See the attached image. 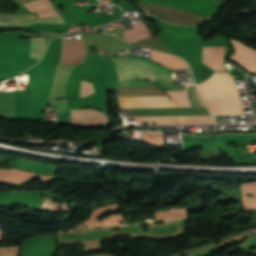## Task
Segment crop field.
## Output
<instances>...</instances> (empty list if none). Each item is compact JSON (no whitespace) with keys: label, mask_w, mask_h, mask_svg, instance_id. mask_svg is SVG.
<instances>
[{"label":"crop field","mask_w":256,"mask_h":256,"mask_svg":"<svg viewBox=\"0 0 256 256\" xmlns=\"http://www.w3.org/2000/svg\"><path fill=\"white\" fill-rule=\"evenodd\" d=\"M93 91L94 90L90 84L81 81L80 97H84ZM83 106H91L109 112L107 108V92H94L86 96Z\"/></svg>","instance_id":"obj_6"},{"label":"crop field","mask_w":256,"mask_h":256,"mask_svg":"<svg viewBox=\"0 0 256 256\" xmlns=\"http://www.w3.org/2000/svg\"><path fill=\"white\" fill-rule=\"evenodd\" d=\"M30 11H37L40 17L59 15L48 0H35L24 4ZM34 22H63L59 16L33 19L32 15H0V24L19 25Z\"/></svg>","instance_id":"obj_4"},{"label":"crop field","mask_w":256,"mask_h":256,"mask_svg":"<svg viewBox=\"0 0 256 256\" xmlns=\"http://www.w3.org/2000/svg\"><path fill=\"white\" fill-rule=\"evenodd\" d=\"M18 246H8L0 248V256H17Z\"/></svg>","instance_id":"obj_13"},{"label":"crop field","mask_w":256,"mask_h":256,"mask_svg":"<svg viewBox=\"0 0 256 256\" xmlns=\"http://www.w3.org/2000/svg\"><path fill=\"white\" fill-rule=\"evenodd\" d=\"M155 86L149 82L127 80L115 83V87ZM118 95H142L165 94L158 87L115 88ZM198 107L205 106L196 89H189ZM188 89L178 90L185 106H191L187 93H189L192 105L197 107ZM177 90L167 91L174 102L175 107L184 106ZM118 107H174L167 95H142V96H118Z\"/></svg>","instance_id":"obj_1"},{"label":"crop field","mask_w":256,"mask_h":256,"mask_svg":"<svg viewBox=\"0 0 256 256\" xmlns=\"http://www.w3.org/2000/svg\"><path fill=\"white\" fill-rule=\"evenodd\" d=\"M232 43L236 48V54L231 59L239 62L249 71L256 72V51L235 40H232Z\"/></svg>","instance_id":"obj_7"},{"label":"crop field","mask_w":256,"mask_h":256,"mask_svg":"<svg viewBox=\"0 0 256 256\" xmlns=\"http://www.w3.org/2000/svg\"><path fill=\"white\" fill-rule=\"evenodd\" d=\"M224 47H203L202 63L216 71H224Z\"/></svg>","instance_id":"obj_8"},{"label":"crop field","mask_w":256,"mask_h":256,"mask_svg":"<svg viewBox=\"0 0 256 256\" xmlns=\"http://www.w3.org/2000/svg\"><path fill=\"white\" fill-rule=\"evenodd\" d=\"M151 59L160 64H164L170 67L171 69L189 68L187 64L178 57H174V56H170V55H166V54H162L154 51H151Z\"/></svg>","instance_id":"obj_9"},{"label":"crop field","mask_w":256,"mask_h":256,"mask_svg":"<svg viewBox=\"0 0 256 256\" xmlns=\"http://www.w3.org/2000/svg\"><path fill=\"white\" fill-rule=\"evenodd\" d=\"M197 86L211 113L245 115L234 78L229 73L214 72Z\"/></svg>","instance_id":"obj_2"},{"label":"crop field","mask_w":256,"mask_h":256,"mask_svg":"<svg viewBox=\"0 0 256 256\" xmlns=\"http://www.w3.org/2000/svg\"><path fill=\"white\" fill-rule=\"evenodd\" d=\"M117 70L167 71L157 65L134 57H111ZM120 81L128 78H168V72L118 71Z\"/></svg>","instance_id":"obj_3"},{"label":"crop field","mask_w":256,"mask_h":256,"mask_svg":"<svg viewBox=\"0 0 256 256\" xmlns=\"http://www.w3.org/2000/svg\"><path fill=\"white\" fill-rule=\"evenodd\" d=\"M45 40L44 38L31 39L30 57L40 59L44 51Z\"/></svg>","instance_id":"obj_12"},{"label":"crop field","mask_w":256,"mask_h":256,"mask_svg":"<svg viewBox=\"0 0 256 256\" xmlns=\"http://www.w3.org/2000/svg\"><path fill=\"white\" fill-rule=\"evenodd\" d=\"M85 53L84 41L79 40H63V64H77L83 61Z\"/></svg>","instance_id":"obj_5"},{"label":"crop field","mask_w":256,"mask_h":256,"mask_svg":"<svg viewBox=\"0 0 256 256\" xmlns=\"http://www.w3.org/2000/svg\"><path fill=\"white\" fill-rule=\"evenodd\" d=\"M140 141L146 144L154 145L158 148H165L162 133L145 132L143 139Z\"/></svg>","instance_id":"obj_11"},{"label":"crop field","mask_w":256,"mask_h":256,"mask_svg":"<svg viewBox=\"0 0 256 256\" xmlns=\"http://www.w3.org/2000/svg\"><path fill=\"white\" fill-rule=\"evenodd\" d=\"M134 29L124 31V39L134 43L137 40L152 37L142 21L132 25Z\"/></svg>","instance_id":"obj_10"}]
</instances>
